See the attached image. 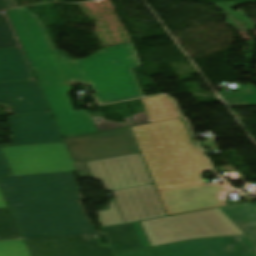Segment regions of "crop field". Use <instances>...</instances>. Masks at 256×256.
<instances>
[{"mask_svg":"<svg viewBox=\"0 0 256 256\" xmlns=\"http://www.w3.org/2000/svg\"><path fill=\"white\" fill-rule=\"evenodd\" d=\"M70 81H71L72 84L82 82V83H86L88 85H91L87 77L80 78V79H74V80H70Z\"/></svg>","mask_w":256,"mask_h":256,"instance_id":"24","label":"crop field"},{"mask_svg":"<svg viewBox=\"0 0 256 256\" xmlns=\"http://www.w3.org/2000/svg\"><path fill=\"white\" fill-rule=\"evenodd\" d=\"M132 129L169 215L226 205L224 186L204 184L201 173L211 167L181 120Z\"/></svg>","mask_w":256,"mask_h":256,"instance_id":"3","label":"crop field"},{"mask_svg":"<svg viewBox=\"0 0 256 256\" xmlns=\"http://www.w3.org/2000/svg\"><path fill=\"white\" fill-rule=\"evenodd\" d=\"M4 176H12L11 172L0 152V177H4ZM2 207H8L1 192H0V208Z\"/></svg>","mask_w":256,"mask_h":256,"instance_id":"20","label":"crop field"},{"mask_svg":"<svg viewBox=\"0 0 256 256\" xmlns=\"http://www.w3.org/2000/svg\"><path fill=\"white\" fill-rule=\"evenodd\" d=\"M116 256H256V247L245 236L191 240Z\"/></svg>","mask_w":256,"mask_h":256,"instance_id":"6","label":"crop field"},{"mask_svg":"<svg viewBox=\"0 0 256 256\" xmlns=\"http://www.w3.org/2000/svg\"><path fill=\"white\" fill-rule=\"evenodd\" d=\"M3 1L7 9L18 7L15 0H3Z\"/></svg>","mask_w":256,"mask_h":256,"instance_id":"23","label":"crop field"},{"mask_svg":"<svg viewBox=\"0 0 256 256\" xmlns=\"http://www.w3.org/2000/svg\"><path fill=\"white\" fill-rule=\"evenodd\" d=\"M85 137L97 160L139 153L129 128Z\"/></svg>","mask_w":256,"mask_h":256,"instance_id":"10","label":"crop field"},{"mask_svg":"<svg viewBox=\"0 0 256 256\" xmlns=\"http://www.w3.org/2000/svg\"><path fill=\"white\" fill-rule=\"evenodd\" d=\"M14 177L0 187L24 238L97 232L70 171L64 143L2 147Z\"/></svg>","mask_w":256,"mask_h":256,"instance_id":"2","label":"crop field"},{"mask_svg":"<svg viewBox=\"0 0 256 256\" xmlns=\"http://www.w3.org/2000/svg\"><path fill=\"white\" fill-rule=\"evenodd\" d=\"M7 12L52 111H65L75 136L97 130L88 110H73L67 95L70 79L88 76L102 104L145 96L133 71L141 64L132 43L72 61L54 48L38 16L26 8Z\"/></svg>","mask_w":256,"mask_h":256,"instance_id":"1","label":"crop field"},{"mask_svg":"<svg viewBox=\"0 0 256 256\" xmlns=\"http://www.w3.org/2000/svg\"><path fill=\"white\" fill-rule=\"evenodd\" d=\"M150 123L179 118V113L172 99L161 96L141 100Z\"/></svg>","mask_w":256,"mask_h":256,"instance_id":"15","label":"crop field"},{"mask_svg":"<svg viewBox=\"0 0 256 256\" xmlns=\"http://www.w3.org/2000/svg\"><path fill=\"white\" fill-rule=\"evenodd\" d=\"M13 145L61 141L50 113L11 116Z\"/></svg>","mask_w":256,"mask_h":256,"instance_id":"8","label":"crop field"},{"mask_svg":"<svg viewBox=\"0 0 256 256\" xmlns=\"http://www.w3.org/2000/svg\"><path fill=\"white\" fill-rule=\"evenodd\" d=\"M0 12L4 13L0 15V49L21 47L12 29V26L6 16L5 10L1 2Z\"/></svg>","mask_w":256,"mask_h":256,"instance_id":"18","label":"crop field"},{"mask_svg":"<svg viewBox=\"0 0 256 256\" xmlns=\"http://www.w3.org/2000/svg\"><path fill=\"white\" fill-rule=\"evenodd\" d=\"M14 115L50 112L35 80L0 83V104Z\"/></svg>","mask_w":256,"mask_h":256,"instance_id":"9","label":"crop field"},{"mask_svg":"<svg viewBox=\"0 0 256 256\" xmlns=\"http://www.w3.org/2000/svg\"><path fill=\"white\" fill-rule=\"evenodd\" d=\"M0 256H30L9 209L0 210Z\"/></svg>","mask_w":256,"mask_h":256,"instance_id":"13","label":"crop field"},{"mask_svg":"<svg viewBox=\"0 0 256 256\" xmlns=\"http://www.w3.org/2000/svg\"><path fill=\"white\" fill-rule=\"evenodd\" d=\"M133 121L135 122V125H141V124L149 123L144 111H142L138 115L133 116Z\"/></svg>","mask_w":256,"mask_h":256,"instance_id":"21","label":"crop field"},{"mask_svg":"<svg viewBox=\"0 0 256 256\" xmlns=\"http://www.w3.org/2000/svg\"><path fill=\"white\" fill-rule=\"evenodd\" d=\"M80 177L94 179L86 162L96 160L84 135L74 137L64 112L53 113ZM79 162V164H76ZM90 176V177H87Z\"/></svg>","mask_w":256,"mask_h":256,"instance_id":"11","label":"crop field"},{"mask_svg":"<svg viewBox=\"0 0 256 256\" xmlns=\"http://www.w3.org/2000/svg\"><path fill=\"white\" fill-rule=\"evenodd\" d=\"M89 233L25 239L33 256H113L102 247L97 235Z\"/></svg>","mask_w":256,"mask_h":256,"instance_id":"7","label":"crop field"},{"mask_svg":"<svg viewBox=\"0 0 256 256\" xmlns=\"http://www.w3.org/2000/svg\"><path fill=\"white\" fill-rule=\"evenodd\" d=\"M103 231L113 253L150 247L138 222L106 227Z\"/></svg>","mask_w":256,"mask_h":256,"instance_id":"12","label":"crop field"},{"mask_svg":"<svg viewBox=\"0 0 256 256\" xmlns=\"http://www.w3.org/2000/svg\"><path fill=\"white\" fill-rule=\"evenodd\" d=\"M141 223L152 247L191 239L248 234L256 232V206L249 203Z\"/></svg>","mask_w":256,"mask_h":256,"instance_id":"5","label":"crop field"},{"mask_svg":"<svg viewBox=\"0 0 256 256\" xmlns=\"http://www.w3.org/2000/svg\"><path fill=\"white\" fill-rule=\"evenodd\" d=\"M244 2H247V1H244ZM235 3V2H234Z\"/></svg>","mask_w":256,"mask_h":256,"instance_id":"27","label":"crop field"},{"mask_svg":"<svg viewBox=\"0 0 256 256\" xmlns=\"http://www.w3.org/2000/svg\"><path fill=\"white\" fill-rule=\"evenodd\" d=\"M249 84V83H248ZM250 87H251V89H253L254 88V86L253 85H250Z\"/></svg>","mask_w":256,"mask_h":256,"instance_id":"26","label":"crop field"},{"mask_svg":"<svg viewBox=\"0 0 256 256\" xmlns=\"http://www.w3.org/2000/svg\"><path fill=\"white\" fill-rule=\"evenodd\" d=\"M197 140H198V142H199V144H200L202 150H203V147H204V146L207 147L206 150H203L204 153H206V152H211V151H207V150H209V147H212V148H213L212 151H217V150H218V148H217V146H216L214 140L205 141V142H201L199 138H198Z\"/></svg>","mask_w":256,"mask_h":256,"instance_id":"22","label":"crop field"},{"mask_svg":"<svg viewBox=\"0 0 256 256\" xmlns=\"http://www.w3.org/2000/svg\"><path fill=\"white\" fill-rule=\"evenodd\" d=\"M98 114H100L101 116L100 117H95L94 114H91L98 131L107 130V129L112 130V129L122 128V127H127V126L132 125V123L129 119V116H128V118H125V116H124L125 122L116 123L114 121H106V120L103 119V116H102L101 113H98ZM95 119H100V121L96 122Z\"/></svg>","mask_w":256,"mask_h":256,"instance_id":"19","label":"crop field"},{"mask_svg":"<svg viewBox=\"0 0 256 256\" xmlns=\"http://www.w3.org/2000/svg\"><path fill=\"white\" fill-rule=\"evenodd\" d=\"M21 48L0 50V82L33 79Z\"/></svg>","mask_w":256,"mask_h":256,"instance_id":"14","label":"crop field"},{"mask_svg":"<svg viewBox=\"0 0 256 256\" xmlns=\"http://www.w3.org/2000/svg\"><path fill=\"white\" fill-rule=\"evenodd\" d=\"M212 4H214L218 9H220L224 14L228 16L225 23L233 26L237 31H242L245 29L236 21H234L230 17V15H233L234 17L239 19L241 23L247 26L249 28L247 30H252L256 28V25L252 21L247 19L246 15L243 13L241 9L237 13L231 9L233 7H236V5L233 2H218Z\"/></svg>","mask_w":256,"mask_h":256,"instance_id":"17","label":"crop field"},{"mask_svg":"<svg viewBox=\"0 0 256 256\" xmlns=\"http://www.w3.org/2000/svg\"><path fill=\"white\" fill-rule=\"evenodd\" d=\"M239 92L233 93L234 90L218 94L229 106H252L256 105V89L250 90L249 85L238 88Z\"/></svg>","mask_w":256,"mask_h":256,"instance_id":"16","label":"crop field"},{"mask_svg":"<svg viewBox=\"0 0 256 256\" xmlns=\"http://www.w3.org/2000/svg\"><path fill=\"white\" fill-rule=\"evenodd\" d=\"M87 164L115 197L95 212L102 227L166 215L139 154Z\"/></svg>","mask_w":256,"mask_h":256,"instance_id":"4","label":"crop field"},{"mask_svg":"<svg viewBox=\"0 0 256 256\" xmlns=\"http://www.w3.org/2000/svg\"><path fill=\"white\" fill-rule=\"evenodd\" d=\"M256 246V234L248 235L247 236Z\"/></svg>","mask_w":256,"mask_h":256,"instance_id":"25","label":"crop field"}]
</instances>
